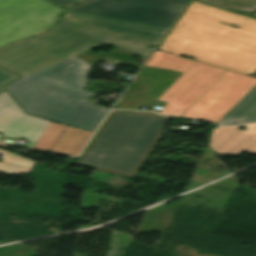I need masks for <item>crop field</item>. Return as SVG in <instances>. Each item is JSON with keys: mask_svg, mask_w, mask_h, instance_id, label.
I'll return each mask as SVG.
<instances>
[{"mask_svg": "<svg viewBox=\"0 0 256 256\" xmlns=\"http://www.w3.org/2000/svg\"><path fill=\"white\" fill-rule=\"evenodd\" d=\"M169 119L134 111L96 169L133 178Z\"/></svg>", "mask_w": 256, "mask_h": 256, "instance_id": "obj_3", "label": "crop field"}, {"mask_svg": "<svg viewBox=\"0 0 256 256\" xmlns=\"http://www.w3.org/2000/svg\"><path fill=\"white\" fill-rule=\"evenodd\" d=\"M133 111H113L88 143L75 164L95 168Z\"/></svg>", "mask_w": 256, "mask_h": 256, "instance_id": "obj_8", "label": "crop field"}, {"mask_svg": "<svg viewBox=\"0 0 256 256\" xmlns=\"http://www.w3.org/2000/svg\"><path fill=\"white\" fill-rule=\"evenodd\" d=\"M158 49L256 78V19L193 1Z\"/></svg>", "mask_w": 256, "mask_h": 256, "instance_id": "obj_2", "label": "crop field"}, {"mask_svg": "<svg viewBox=\"0 0 256 256\" xmlns=\"http://www.w3.org/2000/svg\"><path fill=\"white\" fill-rule=\"evenodd\" d=\"M148 66L176 70L183 73L159 98L166 104L160 114L180 116L225 69L194 62L156 50Z\"/></svg>", "mask_w": 256, "mask_h": 256, "instance_id": "obj_4", "label": "crop field"}, {"mask_svg": "<svg viewBox=\"0 0 256 256\" xmlns=\"http://www.w3.org/2000/svg\"><path fill=\"white\" fill-rule=\"evenodd\" d=\"M0 156L2 157L3 162L11 163L15 165H20L28 168H34L37 162L16 156L12 153L0 150Z\"/></svg>", "mask_w": 256, "mask_h": 256, "instance_id": "obj_14", "label": "crop field"}, {"mask_svg": "<svg viewBox=\"0 0 256 256\" xmlns=\"http://www.w3.org/2000/svg\"><path fill=\"white\" fill-rule=\"evenodd\" d=\"M91 135L92 132L67 126L50 151L70 156L78 155Z\"/></svg>", "mask_w": 256, "mask_h": 256, "instance_id": "obj_11", "label": "crop field"}, {"mask_svg": "<svg viewBox=\"0 0 256 256\" xmlns=\"http://www.w3.org/2000/svg\"><path fill=\"white\" fill-rule=\"evenodd\" d=\"M50 121L25 114L14 100L3 92L0 94V133L6 137H17L29 141L32 149Z\"/></svg>", "mask_w": 256, "mask_h": 256, "instance_id": "obj_7", "label": "crop field"}, {"mask_svg": "<svg viewBox=\"0 0 256 256\" xmlns=\"http://www.w3.org/2000/svg\"><path fill=\"white\" fill-rule=\"evenodd\" d=\"M239 126H245V130H240L237 127ZM239 126H231L230 128L242 133V134H248V133H256V123L255 124H247V125H239Z\"/></svg>", "mask_w": 256, "mask_h": 256, "instance_id": "obj_17", "label": "crop field"}, {"mask_svg": "<svg viewBox=\"0 0 256 256\" xmlns=\"http://www.w3.org/2000/svg\"><path fill=\"white\" fill-rule=\"evenodd\" d=\"M209 147L218 155L256 153V134L241 135L227 127L213 129Z\"/></svg>", "mask_w": 256, "mask_h": 256, "instance_id": "obj_9", "label": "crop field"}, {"mask_svg": "<svg viewBox=\"0 0 256 256\" xmlns=\"http://www.w3.org/2000/svg\"><path fill=\"white\" fill-rule=\"evenodd\" d=\"M256 121V85L216 124L228 125Z\"/></svg>", "mask_w": 256, "mask_h": 256, "instance_id": "obj_10", "label": "crop field"}, {"mask_svg": "<svg viewBox=\"0 0 256 256\" xmlns=\"http://www.w3.org/2000/svg\"><path fill=\"white\" fill-rule=\"evenodd\" d=\"M17 77L18 76L13 75V74H11L9 72H6V71L0 69V92L2 90H4L2 88L4 85H6L7 83L11 82L12 80H14Z\"/></svg>", "mask_w": 256, "mask_h": 256, "instance_id": "obj_16", "label": "crop field"}, {"mask_svg": "<svg viewBox=\"0 0 256 256\" xmlns=\"http://www.w3.org/2000/svg\"><path fill=\"white\" fill-rule=\"evenodd\" d=\"M31 169L10 165L6 163H0V172L8 174H19V173H28Z\"/></svg>", "mask_w": 256, "mask_h": 256, "instance_id": "obj_15", "label": "crop field"}, {"mask_svg": "<svg viewBox=\"0 0 256 256\" xmlns=\"http://www.w3.org/2000/svg\"><path fill=\"white\" fill-rule=\"evenodd\" d=\"M189 0H91L55 28L0 49V67L21 78L5 86L28 114L94 132L109 109L85 101L91 65L75 58L106 44L149 57Z\"/></svg>", "mask_w": 256, "mask_h": 256, "instance_id": "obj_1", "label": "crop field"}, {"mask_svg": "<svg viewBox=\"0 0 256 256\" xmlns=\"http://www.w3.org/2000/svg\"><path fill=\"white\" fill-rule=\"evenodd\" d=\"M253 16H254V17H256V13H255V14H253Z\"/></svg>", "mask_w": 256, "mask_h": 256, "instance_id": "obj_19", "label": "crop field"}, {"mask_svg": "<svg viewBox=\"0 0 256 256\" xmlns=\"http://www.w3.org/2000/svg\"><path fill=\"white\" fill-rule=\"evenodd\" d=\"M0 146H5V145H3V144L0 143Z\"/></svg>", "mask_w": 256, "mask_h": 256, "instance_id": "obj_18", "label": "crop field"}, {"mask_svg": "<svg viewBox=\"0 0 256 256\" xmlns=\"http://www.w3.org/2000/svg\"><path fill=\"white\" fill-rule=\"evenodd\" d=\"M256 84V79L226 70L181 117L215 124Z\"/></svg>", "mask_w": 256, "mask_h": 256, "instance_id": "obj_6", "label": "crop field"}, {"mask_svg": "<svg viewBox=\"0 0 256 256\" xmlns=\"http://www.w3.org/2000/svg\"><path fill=\"white\" fill-rule=\"evenodd\" d=\"M69 8L87 0H48ZM45 0H0V47L52 26L63 8Z\"/></svg>", "mask_w": 256, "mask_h": 256, "instance_id": "obj_5", "label": "crop field"}, {"mask_svg": "<svg viewBox=\"0 0 256 256\" xmlns=\"http://www.w3.org/2000/svg\"><path fill=\"white\" fill-rule=\"evenodd\" d=\"M227 9L251 13L256 10V0H201Z\"/></svg>", "mask_w": 256, "mask_h": 256, "instance_id": "obj_13", "label": "crop field"}, {"mask_svg": "<svg viewBox=\"0 0 256 256\" xmlns=\"http://www.w3.org/2000/svg\"><path fill=\"white\" fill-rule=\"evenodd\" d=\"M65 128L66 125L51 122L33 149L49 151Z\"/></svg>", "mask_w": 256, "mask_h": 256, "instance_id": "obj_12", "label": "crop field"}]
</instances>
